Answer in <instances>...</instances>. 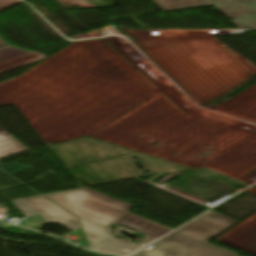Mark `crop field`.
I'll return each mask as SVG.
<instances>
[{
  "instance_id": "5a996713",
  "label": "crop field",
  "mask_w": 256,
  "mask_h": 256,
  "mask_svg": "<svg viewBox=\"0 0 256 256\" xmlns=\"http://www.w3.org/2000/svg\"><path fill=\"white\" fill-rule=\"evenodd\" d=\"M24 52H27V51L17 49L11 46L5 47L3 49H0V61L22 54ZM7 134L8 133H6L4 130L0 128V136L7 135Z\"/></svg>"
},
{
  "instance_id": "412701ff",
  "label": "crop field",
  "mask_w": 256,
  "mask_h": 256,
  "mask_svg": "<svg viewBox=\"0 0 256 256\" xmlns=\"http://www.w3.org/2000/svg\"><path fill=\"white\" fill-rule=\"evenodd\" d=\"M25 217L41 214L50 224L73 231L79 228L77 217L41 196L12 201Z\"/></svg>"
},
{
  "instance_id": "d8731c3e",
  "label": "crop field",
  "mask_w": 256,
  "mask_h": 256,
  "mask_svg": "<svg viewBox=\"0 0 256 256\" xmlns=\"http://www.w3.org/2000/svg\"><path fill=\"white\" fill-rule=\"evenodd\" d=\"M28 151L10 135L0 137V158Z\"/></svg>"
},
{
  "instance_id": "ac0d7876",
  "label": "crop field",
  "mask_w": 256,
  "mask_h": 256,
  "mask_svg": "<svg viewBox=\"0 0 256 256\" xmlns=\"http://www.w3.org/2000/svg\"><path fill=\"white\" fill-rule=\"evenodd\" d=\"M235 223L236 220L210 211L152 244L154 248L133 256H235V253L206 243Z\"/></svg>"
},
{
  "instance_id": "28ad6ade",
  "label": "crop field",
  "mask_w": 256,
  "mask_h": 256,
  "mask_svg": "<svg viewBox=\"0 0 256 256\" xmlns=\"http://www.w3.org/2000/svg\"><path fill=\"white\" fill-rule=\"evenodd\" d=\"M5 46H8L5 42H3L2 40H0V48H3Z\"/></svg>"
},
{
  "instance_id": "e52e79f7",
  "label": "crop field",
  "mask_w": 256,
  "mask_h": 256,
  "mask_svg": "<svg viewBox=\"0 0 256 256\" xmlns=\"http://www.w3.org/2000/svg\"><path fill=\"white\" fill-rule=\"evenodd\" d=\"M42 58H45V56L27 52L22 55L13 57L11 59L2 61L0 62V74L15 69L17 67L26 65L28 63L40 60Z\"/></svg>"
},
{
  "instance_id": "8a807250",
  "label": "crop field",
  "mask_w": 256,
  "mask_h": 256,
  "mask_svg": "<svg viewBox=\"0 0 256 256\" xmlns=\"http://www.w3.org/2000/svg\"><path fill=\"white\" fill-rule=\"evenodd\" d=\"M44 196L79 216L89 242L87 248L92 250L112 236L111 225L133 207L87 188L44 194Z\"/></svg>"
},
{
  "instance_id": "3316defc",
  "label": "crop field",
  "mask_w": 256,
  "mask_h": 256,
  "mask_svg": "<svg viewBox=\"0 0 256 256\" xmlns=\"http://www.w3.org/2000/svg\"><path fill=\"white\" fill-rule=\"evenodd\" d=\"M21 3L20 0H0V10Z\"/></svg>"
},
{
  "instance_id": "34b2d1b8",
  "label": "crop field",
  "mask_w": 256,
  "mask_h": 256,
  "mask_svg": "<svg viewBox=\"0 0 256 256\" xmlns=\"http://www.w3.org/2000/svg\"><path fill=\"white\" fill-rule=\"evenodd\" d=\"M115 223L147 235L142 245L113 237L96 251L128 256L172 230L128 212Z\"/></svg>"
},
{
  "instance_id": "dd49c442",
  "label": "crop field",
  "mask_w": 256,
  "mask_h": 256,
  "mask_svg": "<svg viewBox=\"0 0 256 256\" xmlns=\"http://www.w3.org/2000/svg\"><path fill=\"white\" fill-rule=\"evenodd\" d=\"M164 12L209 5L208 0H153Z\"/></svg>"
},
{
  "instance_id": "f4fd0767",
  "label": "crop field",
  "mask_w": 256,
  "mask_h": 256,
  "mask_svg": "<svg viewBox=\"0 0 256 256\" xmlns=\"http://www.w3.org/2000/svg\"><path fill=\"white\" fill-rule=\"evenodd\" d=\"M238 28H256V0H209Z\"/></svg>"
}]
</instances>
